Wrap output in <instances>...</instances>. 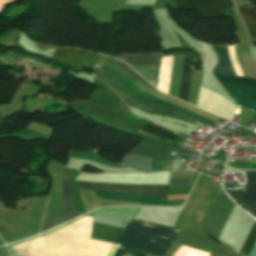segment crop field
I'll list each match as a JSON object with an SVG mask.
<instances>
[{"instance_id":"18","label":"crop field","mask_w":256,"mask_h":256,"mask_svg":"<svg viewBox=\"0 0 256 256\" xmlns=\"http://www.w3.org/2000/svg\"><path fill=\"white\" fill-rule=\"evenodd\" d=\"M256 242V221L238 256H248Z\"/></svg>"},{"instance_id":"17","label":"crop field","mask_w":256,"mask_h":256,"mask_svg":"<svg viewBox=\"0 0 256 256\" xmlns=\"http://www.w3.org/2000/svg\"><path fill=\"white\" fill-rule=\"evenodd\" d=\"M139 132L159 137L168 142H172L179 138L177 135L171 133L170 131L148 122H146V124L139 130Z\"/></svg>"},{"instance_id":"8","label":"crop field","mask_w":256,"mask_h":256,"mask_svg":"<svg viewBox=\"0 0 256 256\" xmlns=\"http://www.w3.org/2000/svg\"><path fill=\"white\" fill-rule=\"evenodd\" d=\"M197 106L228 120L234 115L235 106L216 93L200 87Z\"/></svg>"},{"instance_id":"5","label":"crop field","mask_w":256,"mask_h":256,"mask_svg":"<svg viewBox=\"0 0 256 256\" xmlns=\"http://www.w3.org/2000/svg\"><path fill=\"white\" fill-rule=\"evenodd\" d=\"M233 205L221 188L198 233H205L217 239Z\"/></svg>"},{"instance_id":"1","label":"crop field","mask_w":256,"mask_h":256,"mask_svg":"<svg viewBox=\"0 0 256 256\" xmlns=\"http://www.w3.org/2000/svg\"><path fill=\"white\" fill-rule=\"evenodd\" d=\"M179 230L133 219L119 235L120 249L164 256Z\"/></svg>"},{"instance_id":"4","label":"crop field","mask_w":256,"mask_h":256,"mask_svg":"<svg viewBox=\"0 0 256 256\" xmlns=\"http://www.w3.org/2000/svg\"><path fill=\"white\" fill-rule=\"evenodd\" d=\"M213 74L221 82L256 87V79L254 78L223 75L216 73ZM233 84H225V86L227 87L229 92L235 97L238 105L256 112V88Z\"/></svg>"},{"instance_id":"16","label":"crop field","mask_w":256,"mask_h":256,"mask_svg":"<svg viewBox=\"0 0 256 256\" xmlns=\"http://www.w3.org/2000/svg\"><path fill=\"white\" fill-rule=\"evenodd\" d=\"M190 59H191V55H184L180 94H179V98L186 102H188V98H189L191 69L188 66L190 64Z\"/></svg>"},{"instance_id":"22","label":"crop field","mask_w":256,"mask_h":256,"mask_svg":"<svg viewBox=\"0 0 256 256\" xmlns=\"http://www.w3.org/2000/svg\"><path fill=\"white\" fill-rule=\"evenodd\" d=\"M102 54L109 55V56H112V57L116 58L115 56H113V55H111V54H106V53H102Z\"/></svg>"},{"instance_id":"23","label":"crop field","mask_w":256,"mask_h":256,"mask_svg":"<svg viewBox=\"0 0 256 256\" xmlns=\"http://www.w3.org/2000/svg\"><path fill=\"white\" fill-rule=\"evenodd\" d=\"M0 120H1V116H0Z\"/></svg>"},{"instance_id":"14","label":"crop field","mask_w":256,"mask_h":256,"mask_svg":"<svg viewBox=\"0 0 256 256\" xmlns=\"http://www.w3.org/2000/svg\"><path fill=\"white\" fill-rule=\"evenodd\" d=\"M237 8L251 36V44L254 45L256 43V12L254 7L249 6Z\"/></svg>"},{"instance_id":"12","label":"crop field","mask_w":256,"mask_h":256,"mask_svg":"<svg viewBox=\"0 0 256 256\" xmlns=\"http://www.w3.org/2000/svg\"><path fill=\"white\" fill-rule=\"evenodd\" d=\"M151 159L140 157L132 154L124 156L121 164L132 167L134 169L151 172L150 171ZM171 160H154L152 159L151 170L155 172L170 169Z\"/></svg>"},{"instance_id":"3","label":"crop field","mask_w":256,"mask_h":256,"mask_svg":"<svg viewBox=\"0 0 256 256\" xmlns=\"http://www.w3.org/2000/svg\"><path fill=\"white\" fill-rule=\"evenodd\" d=\"M100 57H104V58H108L105 57L103 55H98ZM98 59L102 60V61H106L109 62L111 64H113L114 66L118 67L120 70H122L125 74H127L137 85L138 87L144 92H150L153 90H156L155 88H153L150 84H148L142 77H140L138 74H136L134 71H132L125 63L117 61L115 59L112 58H108V59H112L115 60L119 63H121L122 65H124L125 67H127L130 71H132L137 77H139L145 84H147L149 87H151L152 89H150L148 86L144 85V83L137 78L132 72H130L127 68H125L124 66L111 61V60H107V59H103V58H99ZM97 60L96 62V66H98L99 68H101V70L105 71L107 74L115 77L118 79V81L121 82V84L124 86V88L133 96H137V95H141L144 94L137 86L136 84L128 77L126 76L123 72H121L118 68L106 63V62H102ZM116 79V80H117Z\"/></svg>"},{"instance_id":"21","label":"crop field","mask_w":256,"mask_h":256,"mask_svg":"<svg viewBox=\"0 0 256 256\" xmlns=\"http://www.w3.org/2000/svg\"><path fill=\"white\" fill-rule=\"evenodd\" d=\"M189 179H170L169 188H182L186 187Z\"/></svg>"},{"instance_id":"9","label":"crop field","mask_w":256,"mask_h":256,"mask_svg":"<svg viewBox=\"0 0 256 256\" xmlns=\"http://www.w3.org/2000/svg\"><path fill=\"white\" fill-rule=\"evenodd\" d=\"M159 54V53H154ZM118 56L161 57V55L126 54ZM117 57L129 64L131 68H159L160 58ZM153 86L157 85L159 69H134Z\"/></svg>"},{"instance_id":"7","label":"crop field","mask_w":256,"mask_h":256,"mask_svg":"<svg viewBox=\"0 0 256 256\" xmlns=\"http://www.w3.org/2000/svg\"><path fill=\"white\" fill-rule=\"evenodd\" d=\"M178 9H193L199 19L224 17L225 9L234 7L231 0H174Z\"/></svg>"},{"instance_id":"2","label":"crop field","mask_w":256,"mask_h":256,"mask_svg":"<svg viewBox=\"0 0 256 256\" xmlns=\"http://www.w3.org/2000/svg\"><path fill=\"white\" fill-rule=\"evenodd\" d=\"M75 181L77 184H83V185H96V186H109V187H122V188L161 190V191L168 190V185H159V184L121 183V182L84 181V180H75ZM83 185H77V187L82 189H91V190L167 196V192H161V191L122 189V188L83 186ZM96 193H97V197L110 198V199H116V200L135 201V202H140L141 205L166 206V200H167V197H161V196L101 192V191H96Z\"/></svg>"},{"instance_id":"6","label":"crop field","mask_w":256,"mask_h":256,"mask_svg":"<svg viewBox=\"0 0 256 256\" xmlns=\"http://www.w3.org/2000/svg\"><path fill=\"white\" fill-rule=\"evenodd\" d=\"M82 214V212L75 210L70 173L69 170L65 169L63 176L62 210L43 221L41 232L62 224L75 217H78Z\"/></svg>"},{"instance_id":"15","label":"crop field","mask_w":256,"mask_h":256,"mask_svg":"<svg viewBox=\"0 0 256 256\" xmlns=\"http://www.w3.org/2000/svg\"><path fill=\"white\" fill-rule=\"evenodd\" d=\"M212 47L216 51L219 59V63L216 66L214 72L235 75L232 64H231V60L228 54L227 47H221V46H215V45H212Z\"/></svg>"},{"instance_id":"11","label":"crop field","mask_w":256,"mask_h":256,"mask_svg":"<svg viewBox=\"0 0 256 256\" xmlns=\"http://www.w3.org/2000/svg\"><path fill=\"white\" fill-rule=\"evenodd\" d=\"M246 193L229 192L228 194L253 216H256V171H246Z\"/></svg>"},{"instance_id":"10","label":"crop field","mask_w":256,"mask_h":256,"mask_svg":"<svg viewBox=\"0 0 256 256\" xmlns=\"http://www.w3.org/2000/svg\"><path fill=\"white\" fill-rule=\"evenodd\" d=\"M97 55L96 53L73 48H57L51 58L82 70L84 67L91 68V64L94 65Z\"/></svg>"},{"instance_id":"13","label":"crop field","mask_w":256,"mask_h":256,"mask_svg":"<svg viewBox=\"0 0 256 256\" xmlns=\"http://www.w3.org/2000/svg\"><path fill=\"white\" fill-rule=\"evenodd\" d=\"M146 103H149V104H152L154 106H157V107H160V108H163V109H168V110H172V111H175L177 113H180V114H184V115H187V116H190V117H194V118H197V119H200L202 121H205L207 123H215L214 121L212 120H209L207 118H204V117H201L199 115H196L194 113H191L189 111H186L184 109H181L179 107H176L174 105H171L153 95H150V94H146V95H143V96H139V97H136Z\"/></svg>"},{"instance_id":"20","label":"crop field","mask_w":256,"mask_h":256,"mask_svg":"<svg viewBox=\"0 0 256 256\" xmlns=\"http://www.w3.org/2000/svg\"><path fill=\"white\" fill-rule=\"evenodd\" d=\"M133 106L138 107V108H140V109H142V110H144V111H147V112H149V113H151V114L164 115V116H168V117H172V118H176V119L185 120V121H187V122H189V123H192V124L194 123V121H192V120H190V119H188V118H186V117L175 116V115H170V114H166V113L154 111V110H152V109H150V108H148V107H146V106H144V105H142V104H140V103H136V104H134Z\"/></svg>"},{"instance_id":"19","label":"crop field","mask_w":256,"mask_h":256,"mask_svg":"<svg viewBox=\"0 0 256 256\" xmlns=\"http://www.w3.org/2000/svg\"><path fill=\"white\" fill-rule=\"evenodd\" d=\"M69 156L74 157V158H83V159L96 161V162L103 163V164L108 165V166L122 167V166H118V165H115V164H112V163H106L105 161L101 160L100 158H98L97 156H95L91 152H87V153L70 152Z\"/></svg>"}]
</instances>
